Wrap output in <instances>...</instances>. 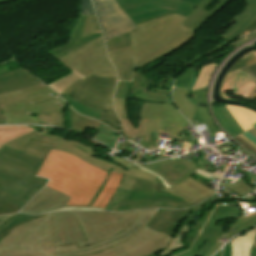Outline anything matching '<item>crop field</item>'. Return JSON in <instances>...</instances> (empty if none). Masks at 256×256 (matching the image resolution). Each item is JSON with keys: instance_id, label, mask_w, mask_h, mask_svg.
<instances>
[{"instance_id": "crop-field-1", "label": "crop field", "mask_w": 256, "mask_h": 256, "mask_svg": "<svg viewBox=\"0 0 256 256\" xmlns=\"http://www.w3.org/2000/svg\"><path fill=\"white\" fill-rule=\"evenodd\" d=\"M107 173L71 154L52 149L37 176L51 179L47 187L70 196L67 206H88Z\"/></svg>"}, {"instance_id": "crop-field-2", "label": "crop field", "mask_w": 256, "mask_h": 256, "mask_svg": "<svg viewBox=\"0 0 256 256\" xmlns=\"http://www.w3.org/2000/svg\"><path fill=\"white\" fill-rule=\"evenodd\" d=\"M135 212H60L52 214L55 246L78 247L106 239L129 226Z\"/></svg>"}, {"instance_id": "crop-field-3", "label": "crop field", "mask_w": 256, "mask_h": 256, "mask_svg": "<svg viewBox=\"0 0 256 256\" xmlns=\"http://www.w3.org/2000/svg\"><path fill=\"white\" fill-rule=\"evenodd\" d=\"M33 127L39 130L17 139L6 146L42 159H44L49 149L53 148L69 152L78 158L106 171H109V168L111 167L113 168L112 171L114 172H120L150 181L157 178L133 167L135 164L129 163L117 156L112 159L105 154L98 155L94 150L85 144L64 140L61 137L51 135L53 128L40 126Z\"/></svg>"}, {"instance_id": "crop-field-4", "label": "crop field", "mask_w": 256, "mask_h": 256, "mask_svg": "<svg viewBox=\"0 0 256 256\" xmlns=\"http://www.w3.org/2000/svg\"><path fill=\"white\" fill-rule=\"evenodd\" d=\"M185 17L173 14L139 24L131 32L132 46L108 52L110 61L133 57V64L170 46L174 49L189 41L195 32L180 25Z\"/></svg>"}, {"instance_id": "crop-field-5", "label": "crop field", "mask_w": 256, "mask_h": 256, "mask_svg": "<svg viewBox=\"0 0 256 256\" xmlns=\"http://www.w3.org/2000/svg\"><path fill=\"white\" fill-rule=\"evenodd\" d=\"M165 187L159 179L150 182L124 175L119 188L105 207L107 211H127L166 207L183 209L191 207L185 200L160 192Z\"/></svg>"}, {"instance_id": "crop-field-6", "label": "crop field", "mask_w": 256, "mask_h": 256, "mask_svg": "<svg viewBox=\"0 0 256 256\" xmlns=\"http://www.w3.org/2000/svg\"><path fill=\"white\" fill-rule=\"evenodd\" d=\"M0 104L7 124H38L40 119L29 114L63 112L67 107L66 102L43 84L0 95Z\"/></svg>"}, {"instance_id": "crop-field-7", "label": "crop field", "mask_w": 256, "mask_h": 256, "mask_svg": "<svg viewBox=\"0 0 256 256\" xmlns=\"http://www.w3.org/2000/svg\"><path fill=\"white\" fill-rule=\"evenodd\" d=\"M0 256H55L51 214L14 228L0 241Z\"/></svg>"}, {"instance_id": "crop-field-8", "label": "crop field", "mask_w": 256, "mask_h": 256, "mask_svg": "<svg viewBox=\"0 0 256 256\" xmlns=\"http://www.w3.org/2000/svg\"><path fill=\"white\" fill-rule=\"evenodd\" d=\"M56 60L64 65L69 71L74 68L86 75L87 77L85 76L86 78L84 80L92 74L105 78H117L115 68L106 57L102 36ZM83 81L79 79L63 93L70 92Z\"/></svg>"}, {"instance_id": "crop-field-9", "label": "crop field", "mask_w": 256, "mask_h": 256, "mask_svg": "<svg viewBox=\"0 0 256 256\" xmlns=\"http://www.w3.org/2000/svg\"><path fill=\"white\" fill-rule=\"evenodd\" d=\"M160 116V118H158ZM140 118H147L143 147L158 148L162 133L176 138L189 123L174 105L144 102L140 109Z\"/></svg>"}, {"instance_id": "crop-field-10", "label": "crop field", "mask_w": 256, "mask_h": 256, "mask_svg": "<svg viewBox=\"0 0 256 256\" xmlns=\"http://www.w3.org/2000/svg\"><path fill=\"white\" fill-rule=\"evenodd\" d=\"M116 80L98 78L92 75L68 94L88 107L103 110L100 118L119 129V121L113 111L112 104Z\"/></svg>"}, {"instance_id": "crop-field-11", "label": "crop field", "mask_w": 256, "mask_h": 256, "mask_svg": "<svg viewBox=\"0 0 256 256\" xmlns=\"http://www.w3.org/2000/svg\"><path fill=\"white\" fill-rule=\"evenodd\" d=\"M136 24L177 13L188 16L196 5L179 0H117Z\"/></svg>"}, {"instance_id": "crop-field-12", "label": "crop field", "mask_w": 256, "mask_h": 256, "mask_svg": "<svg viewBox=\"0 0 256 256\" xmlns=\"http://www.w3.org/2000/svg\"><path fill=\"white\" fill-rule=\"evenodd\" d=\"M172 238L145 226L128 241L90 256H151L167 247Z\"/></svg>"}, {"instance_id": "crop-field-13", "label": "crop field", "mask_w": 256, "mask_h": 256, "mask_svg": "<svg viewBox=\"0 0 256 256\" xmlns=\"http://www.w3.org/2000/svg\"><path fill=\"white\" fill-rule=\"evenodd\" d=\"M48 180L0 165V194L27 203Z\"/></svg>"}, {"instance_id": "crop-field-14", "label": "crop field", "mask_w": 256, "mask_h": 256, "mask_svg": "<svg viewBox=\"0 0 256 256\" xmlns=\"http://www.w3.org/2000/svg\"><path fill=\"white\" fill-rule=\"evenodd\" d=\"M93 3L105 41L137 28L115 0H93Z\"/></svg>"}, {"instance_id": "crop-field-15", "label": "crop field", "mask_w": 256, "mask_h": 256, "mask_svg": "<svg viewBox=\"0 0 256 256\" xmlns=\"http://www.w3.org/2000/svg\"><path fill=\"white\" fill-rule=\"evenodd\" d=\"M240 215L239 208L217 206L192 248L188 252L178 256L204 255L209 247L225 232L223 231V224L229 218H238Z\"/></svg>"}, {"instance_id": "crop-field-16", "label": "crop field", "mask_w": 256, "mask_h": 256, "mask_svg": "<svg viewBox=\"0 0 256 256\" xmlns=\"http://www.w3.org/2000/svg\"><path fill=\"white\" fill-rule=\"evenodd\" d=\"M155 211L156 209L149 211H137L135 219L129 227L124 229L121 233L94 245L82 247L80 249H78L76 244L64 247H55L56 256H82L107 249L136 233L146 224Z\"/></svg>"}, {"instance_id": "crop-field-17", "label": "crop field", "mask_w": 256, "mask_h": 256, "mask_svg": "<svg viewBox=\"0 0 256 256\" xmlns=\"http://www.w3.org/2000/svg\"><path fill=\"white\" fill-rule=\"evenodd\" d=\"M141 166L158 173L169 187L192 176L198 168L195 162L184 161L180 157Z\"/></svg>"}, {"instance_id": "crop-field-18", "label": "crop field", "mask_w": 256, "mask_h": 256, "mask_svg": "<svg viewBox=\"0 0 256 256\" xmlns=\"http://www.w3.org/2000/svg\"><path fill=\"white\" fill-rule=\"evenodd\" d=\"M234 90V95L243 96L247 100L253 101L256 97V82L248 77L245 73L237 70L231 74H226L222 88L220 90V95L226 97L224 91Z\"/></svg>"}, {"instance_id": "crop-field-19", "label": "crop field", "mask_w": 256, "mask_h": 256, "mask_svg": "<svg viewBox=\"0 0 256 256\" xmlns=\"http://www.w3.org/2000/svg\"><path fill=\"white\" fill-rule=\"evenodd\" d=\"M69 197L44 187L22 210L23 213L42 214L44 211L65 207Z\"/></svg>"}, {"instance_id": "crop-field-20", "label": "crop field", "mask_w": 256, "mask_h": 256, "mask_svg": "<svg viewBox=\"0 0 256 256\" xmlns=\"http://www.w3.org/2000/svg\"><path fill=\"white\" fill-rule=\"evenodd\" d=\"M191 213L193 211L190 209L180 211L158 209L147 225L165 234L174 236L177 228Z\"/></svg>"}, {"instance_id": "crop-field-21", "label": "crop field", "mask_w": 256, "mask_h": 256, "mask_svg": "<svg viewBox=\"0 0 256 256\" xmlns=\"http://www.w3.org/2000/svg\"><path fill=\"white\" fill-rule=\"evenodd\" d=\"M163 192L177 195L187 200L192 206L213 195L215 190L206 185L189 178ZM201 199V200H199Z\"/></svg>"}, {"instance_id": "crop-field-22", "label": "crop field", "mask_w": 256, "mask_h": 256, "mask_svg": "<svg viewBox=\"0 0 256 256\" xmlns=\"http://www.w3.org/2000/svg\"><path fill=\"white\" fill-rule=\"evenodd\" d=\"M206 88L197 90V91H193L191 93L192 100H194L197 103V105H198V103H206ZM173 99H174L176 106L179 108V110L190 121V119L193 117V115L195 113L196 106L190 102V100L188 98V90L181 89V88H174ZM190 122L192 124L204 122L200 115L198 108H197V112H196L194 119Z\"/></svg>"}, {"instance_id": "crop-field-23", "label": "crop field", "mask_w": 256, "mask_h": 256, "mask_svg": "<svg viewBox=\"0 0 256 256\" xmlns=\"http://www.w3.org/2000/svg\"><path fill=\"white\" fill-rule=\"evenodd\" d=\"M212 203L208 204L202 210L191 214L187 217L181 226L178 228L174 238L171 240L169 246L165 248L163 251L153 255V256H174L180 254L187 249L183 240L187 237V235L191 232L192 226L196 223V221L201 217V215L206 212L209 208L212 207Z\"/></svg>"}, {"instance_id": "crop-field-24", "label": "crop field", "mask_w": 256, "mask_h": 256, "mask_svg": "<svg viewBox=\"0 0 256 256\" xmlns=\"http://www.w3.org/2000/svg\"><path fill=\"white\" fill-rule=\"evenodd\" d=\"M134 74V81L129 90V92L134 93L136 99L156 102V103H169L172 104L170 99V89H164L160 87H155L147 92V88L150 86L151 79H145L142 75Z\"/></svg>"}, {"instance_id": "crop-field-25", "label": "crop field", "mask_w": 256, "mask_h": 256, "mask_svg": "<svg viewBox=\"0 0 256 256\" xmlns=\"http://www.w3.org/2000/svg\"><path fill=\"white\" fill-rule=\"evenodd\" d=\"M42 159L14 151L6 146L0 150V164L35 175Z\"/></svg>"}, {"instance_id": "crop-field-26", "label": "crop field", "mask_w": 256, "mask_h": 256, "mask_svg": "<svg viewBox=\"0 0 256 256\" xmlns=\"http://www.w3.org/2000/svg\"><path fill=\"white\" fill-rule=\"evenodd\" d=\"M230 0H203L184 20L185 25L193 30L215 15Z\"/></svg>"}, {"instance_id": "crop-field-27", "label": "crop field", "mask_w": 256, "mask_h": 256, "mask_svg": "<svg viewBox=\"0 0 256 256\" xmlns=\"http://www.w3.org/2000/svg\"><path fill=\"white\" fill-rule=\"evenodd\" d=\"M86 16L87 15H79L77 18V21L72 29V32L67 40V42L57 48H54L52 50H49V55H51L52 57H54L55 59L60 57L63 54H66L67 52L101 36L102 34H95V35H90V36H86L81 38L82 35V31H83V27H84V23L86 20Z\"/></svg>"}, {"instance_id": "crop-field-28", "label": "crop field", "mask_w": 256, "mask_h": 256, "mask_svg": "<svg viewBox=\"0 0 256 256\" xmlns=\"http://www.w3.org/2000/svg\"><path fill=\"white\" fill-rule=\"evenodd\" d=\"M41 84L39 80L20 67L7 74L0 75V94Z\"/></svg>"}, {"instance_id": "crop-field-29", "label": "crop field", "mask_w": 256, "mask_h": 256, "mask_svg": "<svg viewBox=\"0 0 256 256\" xmlns=\"http://www.w3.org/2000/svg\"><path fill=\"white\" fill-rule=\"evenodd\" d=\"M244 2L248 3L244 10L231 20L235 23L219 35L220 37L231 42L256 19V0H244Z\"/></svg>"}, {"instance_id": "crop-field-30", "label": "crop field", "mask_w": 256, "mask_h": 256, "mask_svg": "<svg viewBox=\"0 0 256 256\" xmlns=\"http://www.w3.org/2000/svg\"><path fill=\"white\" fill-rule=\"evenodd\" d=\"M256 212L250 213V216L245 217V215H242L239 217L233 224L229 226V228L226 230V232L221 236L223 238H230L231 236L253 226L256 224ZM218 241V240H217ZM215 242L210 249L206 252L204 256H211L221 245L219 242Z\"/></svg>"}, {"instance_id": "crop-field-31", "label": "crop field", "mask_w": 256, "mask_h": 256, "mask_svg": "<svg viewBox=\"0 0 256 256\" xmlns=\"http://www.w3.org/2000/svg\"><path fill=\"white\" fill-rule=\"evenodd\" d=\"M255 237L256 227L236 236L230 241L231 256H250Z\"/></svg>"}, {"instance_id": "crop-field-32", "label": "crop field", "mask_w": 256, "mask_h": 256, "mask_svg": "<svg viewBox=\"0 0 256 256\" xmlns=\"http://www.w3.org/2000/svg\"><path fill=\"white\" fill-rule=\"evenodd\" d=\"M114 104H115L116 112L121 119L122 133H124L126 136L130 138H132L133 136L143 138L146 119H140L138 128L133 129L131 123L129 122V119L125 118L124 109H123V99L115 98Z\"/></svg>"}, {"instance_id": "crop-field-33", "label": "crop field", "mask_w": 256, "mask_h": 256, "mask_svg": "<svg viewBox=\"0 0 256 256\" xmlns=\"http://www.w3.org/2000/svg\"><path fill=\"white\" fill-rule=\"evenodd\" d=\"M122 177L123 174L112 172L109 180L107 181L106 185L104 186L103 190L101 191V193L99 194V196L97 197L92 206L104 209V207L116 191Z\"/></svg>"}, {"instance_id": "crop-field-34", "label": "crop field", "mask_w": 256, "mask_h": 256, "mask_svg": "<svg viewBox=\"0 0 256 256\" xmlns=\"http://www.w3.org/2000/svg\"><path fill=\"white\" fill-rule=\"evenodd\" d=\"M40 216L24 215V214H11L0 216V240L9 233L13 228L24 222H28Z\"/></svg>"}, {"instance_id": "crop-field-35", "label": "crop field", "mask_w": 256, "mask_h": 256, "mask_svg": "<svg viewBox=\"0 0 256 256\" xmlns=\"http://www.w3.org/2000/svg\"><path fill=\"white\" fill-rule=\"evenodd\" d=\"M68 109H69L68 118L70 122L69 129L77 130L79 132L84 133L86 128L94 129V130H97L99 128L101 123L93 119L86 118L79 114L74 113V110L69 105H68Z\"/></svg>"}, {"instance_id": "crop-field-36", "label": "crop field", "mask_w": 256, "mask_h": 256, "mask_svg": "<svg viewBox=\"0 0 256 256\" xmlns=\"http://www.w3.org/2000/svg\"><path fill=\"white\" fill-rule=\"evenodd\" d=\"M236 118L241 127L245 130L252 128V124L256 122V112L245 107L226 105Z\"/></svg>"}, {"instance_id": "crop-field-37", "label": "crop field", "mask_w": 256, "mask_h": 256, "mask_svg": "<svg viewBox=\"0 0 256 256\" xmlns=\"http://www.w3.org/2000/svg\"><path fill=\"white\" fill-rule=\"evenodd\" d=\"M214 110L220 122L223 124V126L228 130V132L231 135L235 136L244 132L242 128L239 126V124L237 123V121L234 119L232 114L226 108V106L222 108H214Z\"/></svg>"}, {"instance_id": "crop-field-38", "label": "crop field", "mask_w": 256, "mask_h": 256, "mask_svg": "<svg viewBox=\"0 0 256 256\" xmlns=\"http://www.w3.org/2000/svg\"><path fill=\"white\" fill-rule=\"evenodd\" d=\"M36 129L30 126H0V147L19 136L25 135Z\"/></svg>"}, {"instance_id": "crop-field-39", "label": "crop field", "mask_w": 256, "mask_h": 256, "mask_svg": "<svg viewBox=\"0 0 256 256\" xmlns=\"http://www.w3.org/2000/svg\"><path fill=\"white\" fill-rule=\"evenodd\" d=\"M79 78L83 80L85 76L73 69L71 70L70 74L48 84V86L60 94L62 91H64L67 87H69Z\"/></svg>"}, {"instance_id": "crop-field-40", "label": "crop field", "mask_w": 256, "mask_h": 256, "mask_svg": "<svg viewBox=\"0 0 256 256\" xmlns=\"http://www.w3.org/2000/svg\"><path fill=\"white\" fill-rule=\"evenodd\" d=\"M62 97L70 104V106L76 110L77 112L89 116L91 118L97 119L101 113L100 110H96V109H91L88 108L82 104H80L79 102H77L75 99L71 98L68 94H64L62 95Z\"/></svg>"}, {"instance_id": "crop-field-41", "label": "crop field", "mask_w": 256, "mask_h": 256, "mask_svg": "<svg viewBox=\"0 0 256 256\" xmlns=\"http://www.w3.org/2000/svg\"><path fill=\"white\" fill-rule=\"evenodd\" d=\"M25 203L0 195V215L18 212Z\"/></svg>"}, {"instance_id": "crop-field-42", "label": "crop field", "mask_w": 256, "mask_h": 256, "mask_svg": "<svg viewBox=\"0 0 256 256\" xmlns=\"http://www.w3.org/2000/svg\"><path fill=\"white\" fill-rule=\"evenodd\" d=\"M254 128L235 136V138L256 154V123L252 125Z\"/></svg>"}, {"instance_id": "crop-field-43", "label": "crop field", "mask_w": 256, "mask_h": 256, "mask_svg": "<svg viewBox=\"0 0 256 256\" xmlns=\"http://www.w3.org/2000/svg\"><path fill=\"white\" fill-rule=\"evenodd\" d=\"M98 132L94 136V138L100 140L101 142L105 143L109 147L113 148L118 133L114 132L113 130L107 128L106 126L102 125L97 130Z\"/></svg>"}, {"instance_id": "crop-field-44", "label": "crop field", "mask_w": 256, "mask_h": 256, "mask_svg": "<svg viewBox=\"0 0 256 256\" xmlns=\"http://www.w3.org/2000/svg\"><path fill=\"white\" fill-rule=\"evenodd\" d=\"M118 73L119 80H128L131 81L132 76V58L115 61L113 62Z\"/></svg>"}, {"instance_id": "crop-field-45", "label": "crop field", "mask_w": 256, "mask_h": 256, "mask_svg": "<svg viewBox=\"0 0 256 256\" xmlns=\"http://www.w3.org/2000/svg\"><path fill=\"white\" fill-rule=\"evenodd\" d=\"M217 65L216 64H210L207 66L202 67L200 75L194 84L192 90L201 89L203 87H206L208 85V82L210 80V77Z\"/></svg>"}, {"instance_id": "crop-field-46", "label": "crop field", "mask_w": 256, "mask_h": 256, "mask_svg": "<svg viewBox=\"0 0 256 256\" xmlns=\"http://www.w3.org/2000/svg\"><path fill=\"white\" fill-rule=\"evenodd\" d=\"M37 117L41 119L40 124H47L65 128L64 113L38 114Z\"/></svg>"}, {"instance_id": "crop-field-47", "label": "crop field", "mask_w": 256, "mask_h": 256, "mask_svg": "<svg viewBox=\"0 0 256 256\" xmlns=\"http://www.w3.org/2000/svg\"><path fill=\"white\" fill-rule=\"evenodd\" d=\"M212 211H213V209H210L209 211H207L205 214L202 215L200 220L194 225L192 232L184 240V242L187 245L188 249L190 248V246L193 244L195 238L197 237V235H198L197 231L201 230L202 226L207 221V218L209 217V215L211 214ZM188 241H190V242H188Z\"/></svg>"}, {"instance_id": "crop-field-48", "label": "crop field", "mask_w": 256, "mask_h": 256, "mask_svg": "<svg viewBox=\"0 0 256 256\" xmlns=\"http://www.w3.org/2000/svg\"><path fill=\"white\" fill-rule=\"evenodd\" d=\"M131 45L129 33L106 42L107 50L119 49Z\"/></svg>"}, {"instance_id": "crop-field-49", "label": "crop field", "mask_w": 256, "mask_h": 256, "mask_svg": "<svg viewBox=\"0 0 256 256\" xmlns=\"http://www.w3.org/2000/svg\"><path fill=\"white\" fill-rule=\"evenodd\" d=\"M99 32H101V30L95 18V15L93 16L88 15L82 37L86 35L94 34V33H99Z\"/></svg>"}, {"instance_id": "crop-field-50", "label": "crop field", "mask_w": 256, "mask_h": 256, "mask_svg": "<svg viewBox=\"0 0 256 256\" xmlns=\"http://www.w3.org/2000/svg\"><path fill=\"white\" fill-rule=\"evenodd\" d=\"M228 185L226 187H228L230 190L234 191L235 193H237L240 196L246 195L252 191H254L247 183H245L241 178L239 179L238 182H236L235 184L231 185L229 183H227Z\"/></svg>"}, {"instance_id": "crop-field-51", "label": "crop field", "mask_w": 256, "mask_h": 256, "mask_svg": "<svg viewBox=\"0 0 256 256\" xmlns=\"http://www.w3.org/2000/svg\"><path fill=\"white\" fill-rule=\"evenodd\" d=\"M255 62H256V56L251 52H249L232 66V68L229 70V73L236 69H240L250 64H253Z\"/></svg>"}, {"instance_id": "crop-field-52", "label": "crop field", "mask_w": 256, "mask_h": 256, "mask_svg": "<svg viewBox=\"0 0 256 256\" xmlns=\"http://www.w3.org/2000/svg\"><path fill=\"white\" fill-rule=\"evenodd\" d=\"M191 68L185 71L183 74H181L177 78L174 86H181V87H187V88L190 87L193 80V69Z\"/></svg>"}, {"instance_id": "crop-field-53", "label": "crop field", "mask_w": 256, "mask_h": 256, "mask_svg": "<svg viewBox=\"0 0 256 256\" xmlns=\"http://www.w3.org/2000/svg\"><path fill=\"white\" fill-rule=\"evenodd\" d=\"M130 82H118V87L115 97L127 98L128 89L130 87Z\"/></svg>"}, {"instance_id": "crop-field-54", "label": "crop field", "mask_w": 256, "mask_h": 256, "mask_svg": "<svg viewBox=\"0 0 256 256\" xmlns=\"http://www.w3.org/2000/svg\"><path fill=\"white\" fill-rule=\"evenodd\" d=\"M172 50H173V49H171L170 47H168V48H166V49L160 51V52L157 53L156 55L151 56V57H149V58H147V59H145V60L139 62L138 64L134 65V66H133V70L138 69V68L144 66L145 64L151 62L152 60H154V59H156V58H158V57H160V56H162V55H164V54H166V53H168V52H170V51H172Z\"/></svg>"}, {"instance_id": "crop-field-55", "label": "crop field", "mask_w": 256, "mask_h": 256, "mask_svg": "<svg viewBox=\"0 0 256 256\" xmlns=\"http://www.w3.org/2000/svg\"><path fill=\"white\" fill-rule=\"evenodd\" d=\"M80 14H95L90 0H81Z\"/></svg>"}, {"instance_id": "crop-field-56", "label": "crop field", "mask_w": 256, "mask_h": 256, "mask_svg": "<svg viewBox=\"0 0 256 256\" xmlns=\"http://www.w3.org/2000/svg\"><path fill=\"white\" fill-rule=\"evenodd\" d=\"M255 37H256V32L251 33V34H249V35H247V36H245V37H243V38H241V39H239L237 41L232 42L231 45L236 48V47H239L242 44L246 43L247 41L252 40Z\"/></svg>"}, {"instance_id": "crop-field-57", "label": "crop field", "mask_w": 256, "mask_h": 256, "mask_svg": "<svg viewBox=\"0 0 256 256\" xmlns=\"http://www.w3.org/2000/svg\"><path fill=\"white\" fill-rule=\"evenodd\" d=\"M247 74L256 79V64L243 68Z\"/></svg>"}, {"instance_id": "crop-field-58", "label": "crop field", "mask_w": 256, "mask_h": 256, "mask_svg": "<svg viewBox=\"0 0 256 256\" xmlns=\"http://www.w3.org/2000/svg\"><path fill=\"white\" fill-rule=\"evenodd\" d=\"M254 31H256V20L250 26H248L239 37L249 34L251 32H254Z\"/></svg>"}, {"instance_id": "crop-field-59", "label": "crop field", "mask_w": 256, "mask_h": 256, "mask_svg": "<svg viewBox=\"0 0 256 256\" xmlns=\"http://www.w3.org/2000/svg\"><path fill=\"white\" fill-rule=\"evenodd\" d=\"M61 210H100V209L66 207V208H61V209H55L52 211H61ZM52 211H48V212H52ZM45 213H47V212H45Z\"/></svg>"}, {"instance_id": "crop-field-60", "label": "crop field", "mask_w": 256, "mask_h": 256, "mask_svg": "<svg viewBox=\"0 0 256 256\" xmlns=\"http://www.w3.org/2000/svg\"><path fill=\"white\" fill-rule=\"evenodd\" d=\"M209 201H210V200L207 199V200L201 202L200 204H198V205H196V206H194V207H192V208H190V209H192L194 212H196V211L202 209L205 205H207V204L209 203Z\"/></svg>"}, {"instance_id": "crop-field-61", "label": "crop field", "mask_w": 256, "mask_h": 256, "mask_svg": "<svg viewBox=\"0 0 256 256\" xmlns=\"http://www.w3.org/2000/svg\"><path fill=\"white\" fill-rule=\"evenodd\" d=\"M196 173H198V174H200V175H202V176H204V177H206V178H208V179L210 178L211 175H213V174L207 173V172H205V171H202V170H200V169H196ZM213 176H215V177H217V178L220 179V177H221L222 175H213Z\"/></svg>"}, {"instance_id": "crop-field-62", "label": "crop field", "mask_w": 256, "mask_h": 256, "mask_svg": "<svg viewBox=\"0 0 256 256\" xmlns=\"http://www.w3.org/2000/svg\"><path fill=\"white\" fill-rule=\"evenodd\" d=\"M135 167L141 168V169H143V170H145V171H147V172H149V173H151V174H153V175L159 177V179H160V180L162 181V183L165 185L166 189L169 188V187L166 185V183L162 180V178H161L158 174L153 173V172H151V171H149V170H147V169H145V168H143V167H141V166H138V165H135Z\"/></svg>"}, {"instance_id": "crop-field-63", "label": "crop field", "mask_w": 256, "mask_h": 256, "mask_svg": "<svg viewBox=\"0 0 256 256\" xmlns=\"http://www.w3.org/2000/svg\"><path fill=\"white\" fill-rule=\"evenodd\" d=\"M111 170H112V169H110L109 174H108L106 180L104 181V183L102 184V186H101L100 189L98 190L97 194L95 195V197L93 198V200L91 201V203L89 204V206H91V205L93 204L94 200L96 199V197H97L98 194L100 193L101 189H102L103 186L105 185V183H106V181H107V179H108V177H109V175H110V173H111Z\"/></svg>"}, {"instance_id": "crop-field-64", "label": "crop field", "mask_w": 256, "mask_h": 256, "mask_svg": "<svg viewBox=\"0 0 256 256\" xmlns=\"http://www.w3.org/2000/svg\"><path fill=\"white\" fill-rule=\"evenodd\" d=\"M223 256H230V243H227V244L224 246V253H223Z\"/></svg>"}, {"instance_id": "crop-field-65", "label": "crop field", "mask_w": 256, "mask_h": 256, "mask_svg": "<svg viewBox=\"0 0 256 256\" xmlns=\"http://www.w3.org/2000/svg\"><path fill=\"white\" fill-rule=\"evenodd\" d=\"M174 78H172L170 76L169 80L167 81V83L164 85V88H170L171 89V85H172V82H173Z\"/></svg>"}, {"instance_id": "crop-field-66", "label": "crop field", "mask_w": 256, "mask_h": 256, "mask_svg": "<svg viewBox=\"0 0 256 256\" xmlns=\"http://www.w3.org/2000/svg\"><path fill=\"white\" fill-rule=\"evenodd\" d=\"M0 124H6L5 119H4V115H3L2 110H1V106H0Z\"/></svg>"}, {"instance_id": "crop-field-67", "label": "crop field", "mask_w": 256, "mask_h": 256, "mask_svg": "<svg viewBox=\"0 0 256 256\" xmlns=\"http://www.w3.org/2000/svg\"><path fill=\"white\" fill-rule=\"evenodd\" d=\"M182 1H188L190 3L198 5L202 0H182Z\"/></svg>"}, {"instance_id": "crop-field-68", "label": "crop field", "mask_w": 256, "mask_h": 256, "mask_svg": "<svg viewBox=\"0 0 256 256\" xmlns=\"http://www.w3.org/2000/svg\"><path fill=\"white\" fill-rule=\"evenodd\" d=\"M252 256H256V240H255L254 245H253Z\"/></svg>"}, {"instance_id": "crop-field-69", "label": "crop field", "mask_w": 256, "mask_h": 256, "mask_svg": "<svg viewBox=\"0 0 256 256\" xmlns=\"http://www.w3.org/2000/svg\"><path fill=\"white\" fill-rule=\"evenodd\" d=\"M189 146H190V143L184 142L183 149L188 150Z\"/></svg>"}, {"instance_id": "crop-field-70", "label": "crop field", "mask_w": 256, "mask_h": 256, "mask_svg": "<svg viewBox=\"0 0 256 256\" xmlns=\"http://www.w3.org/2000/svg\"><path fill=\"white\" fill-rule=\"evenodd\" d=\"M124 109H125V113H126V117H127V104H126V99H124ZM128 118V117H127Z\"/></svg>"}, {"instance_id": "crop-field-71", "label": "crop field", "mask_w": 256, "mask_h": 256, "mask_svg": "<svg viewBox=\"0 0 256 256\" xmlns=\"http://www.w3.org/2000/svg\"><path fill=\"white\" fill-rule=\"evenodd\" d=\"M11 1H14V0H0V3L11 2Z\"/></svg>"}, {"instance_id": "crop-field-72", "label": "crop field", "mask_w": 256, "mask_h": 256, "mask_svg": "<svg viewBox=\"0 0 256 256\" xmlns=\"http://www.w3.org/2000/svg\"><path fill=\"white\" fill-rule=\"evenodd\" d=\"M99 120H100V119H99ZM100 121H102V122H104V123L108 124L107 122H105V121H103V120H100ZM108 125H109V126H111L113 129H115V130L119 131L118 129L114 128L112 125H110V124H108Z\"/></svg>"}, {"instance_id": "crop-field-73", "label": "crop field", "mask_w": 256, "mask_h": 256, "mask_svg": "<svg viewBox=\"0 0 256 256\" xmlns=\"http://www.w3.org/2000/svg\"><path fill=\"white\" fill-rule=\"evenodd\" d=\"M226 206H233V207H237L235 203L227 204Z\"/></svg>"}, {"instance_id": "crop-field-74", "label": "crop field", "mask_w": 256, "mask_h": 256, "mask_svg": "<svg viewBox=\"0 0 256 256\" xmlns=\"http://www.w3.org/2000/svg\"><path fill=\"white\" fill-rule=\"evenodd\" d=\"M221 254H222V250H220L216 255H214V256H221Z\"/></svg>"}, {"instance_id": "crop-field-75", "label": "crop field", "mask_w": 256, "mask_h": 256, "mask_svg": "<svg viewBox=\"0 0 256 256\" xmlns=\"http://www.w3.org/2000/svg\"><path fill=\"white\" fill-rule=\"evenodd\" d=\"M252 53H254L256 55V51H252Z\"/></svg>"}, {"instance_id": "crop-field-76", "label": "crop field", "mask_w": 256, "mask_h": 256, "mask_svg": "<svg viewBox=\"0 0 256 256\" xmlns=\"http://www.w3.org/2000/svg\"><path fill=\"white\" fill-rule=\"evenodd\" d=\"M255 206H256V204H255Z\"/></svg>"}, {"instance_id": "crop-field-77", "label": "crop field", "mask_w": 256, "mask_h": 256, "mask_svg": "<svg viewBox=\"0 0 256 256\" xmlns=\"http://www.w3.org/2000/svg\"><path fill=\"white\" fill-rule=\"evenodd\" d=\"M20 138V137H19ZM5 145V144H4Z\"/></svg>"}, {"instance_id": "crop-field-78", "label": "crop field", "mask_w": 256, "mask_h": 256, "mask_svg": "<svg viewBox=\"0 0 256 256\" xmlns=\"http://www.w3.org/2000/svg\"><path fill=\"white\" fill-rule=\"evenodd\" d=\"M1 149V148H0Z\"/></svg>"}]
</instances>
